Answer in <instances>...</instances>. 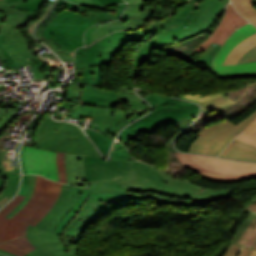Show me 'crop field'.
<instances>
[{"instance_id": "5d738f31", "label": "crop field", "mask_w": 256, "mask_h": 256, "mask_svg": "<svg viewBox=\"0 0 256 256\" xmlns=\"http://www.w3.org/2000/svg\"><path fill=\"white\" fill-rule=\"evenodd\" d=\"M56 6L67 8V9L77 11V12H80L83 14L87 13V11L82 6L76 5L74 3H71V2H68L65 0H58L56 3Z\"/></svg>"}, {"instance_id": "d1516ede", "label": "crop field", "mask_w": 256, "mask_h": 256, "mask_svg": "<svg viewBox=\"0 0 256 256\" xmlns=\"http://www.w3.org/2000/svg\"><path fill=\"white\" fill-rule=\"evenodd\" d=\"M82 191L83 188L64 184L57 202L36 227L53 232L77 201Z\"/></svg>"}, {"instance_id": "dafd665d", "label": "crop field", "mask_w": 256, "mask_h": 256, "mask_svg": "<svg viewBox=\"0 0 256 256\" xmlns=\"http://www.w3.org/2000/svg\"><path fill=\"white\" fill-rule=\"evenodd\" d=\"M120 102L117 92L84 85L80 104L112 107Z\"/></svg>"}, {"instance_id": "c5b07064", "label": "crop field", "mask_w": 256, "mask_h": 256, "mask_svg": "<svg viewBox=\"0 0 256 256\" xmlns=\"http://www.w3.org/2000/svg\"><path fill=\"white\" fill-rule=\"evenodd\" d=\"M26 256H27V255H26ZM60 256H70L69 251H67L66 253H64V254H62V255H60Z\"/></svg>"}, {"instance_id": "0765c3eb", "label": "crop field", "mask_w": 256, "mask_h": 256, "mask_svg": "<svg viewBox=\"0 0 256 256\" xmlns=\"http://www.w3.org/2000/svg\"><path fill=\"white\" fill-rule=\"evenodd\" d=\"M37 231H38V228L35 227L32 231V237L35 240V242L38 244V246L41 247L43 246V244L38 240Z\"/></svg>"}, {"instance_id": "bd1437ed", "label": "crop field", "mask_w": 256, "mask_h": 256, "mask_svg": "<svg viewBox=\"0 0 256 256\" xmlns=\"http://www.w3.org/2000/svg\"><path fill=\"white\" fill-rule=\"evenodd\" d=\"M237 11L256 26V10L252 7V0H231ZM250 16V17H248Z\"/></svg>"}, {"instance_id": "22f410ed", "label": "crop field", "mask_w": 256, "mask_h": 256, "mask_svg": "<svg viewBox=\"0 0 256 256\" xmlns=\"http://www.w3.org/2000/svg\"><path fill=\"white\" fill-rule=\"evenodd\" d=\"M118 94L121 100H126L130 110L116 109L113 116V122L110 127L109 135L116 136V133L128 123L140 117L147 110L144 100L139 98L133 89L127 86L118 87Z\"/></svg>"}, {"instance_id": "0bd39190", "label": "crop field", "mask_w": 256, "mask_h": 256, "mask_svg": "<svg viewBox=\"0 0 256 256\" xmlns=\"http://www.w3.org/2000/svg\"><path fill=\"white\" fill-rule=\"evenodd\" d=\"M236 139L256 146V120L249 125Z\"/></svg>"}, {"instance_id": "d32e631a", "label": "crop field", "mask_w": 256, "mask_h": 256, "mask_svg": "<svg viewBox=\"0 0 256 256\" xmlns=\"http://www.w3.org/2000/svg\"><path fill=\"white\" fill-rule=\"evenodd\" d=\"M85 131L88 133V135L95 142L97 147L100 149V151L103 153L104 157L106 158L107 151L113 140L110 137H107L105 135H102L98 132H95L89 129H85Z\"/></svg>"}, {"instance_id": "bc2a9ffb", "label": "crop field", "mask_w": 256, "mask_h": 256, "mask_svg": "<svg viewBox=\"0 0 256 256\" xmlns=\"http://www.w3.org/2000/svg\"><path fill=\"white\" fill-rule=\"evenodd\" d=\"M155 7L147 6L145 10L139 15L138 19L130 18L124 24L118 21L107 22L101 26L96 27L92 34L91 42H95L98 38L120 29H136L138 27L145 26L146 22L150 19Z\"/></svg>"}, {"instance_id": "7312dd0a", "label": "crop field", "mask_w": 256, "mask_h": 256, "mask_svg": "<svg viewBox=\"0 0 256 256\" xmlns=\"http://www.w3.org/2000/svg\"><path fill=\"white\" fill-rule=\"evenodd\" d=\"M253 249H256V244L253 246Z\"/></svg>"}, {"instance_id": "4177f3b9", "label": "crop field", "mask_w": 256, "mask_h": 256, "mask_svg": "<svg viewBox=\"0 0 256 256\" xmlns=\"http://www.w3.org/2000/svg\"><path fill=\"white\" fill-rule=\"evenodd\" d=\"M23 0L13 2V3H3L0 2V10L3 11L7 18L4 21L8 26L15 28L16 30H19L18 27L22 26L28 18L31 16H36L38 13L35 12H24L20 11L18 9L12 8L10 6L22 3Z\"/></svg>"}, {"instance_id": "180be81f", "label": "crop field", "mask_w": 256, "mask_h": 256, "mask_svg": "<svg viewBox=\"0 0 256 256\" xmlns=\"http://www.w3.org/2000/svg\"><path fill=\"white\" fill-rule=\"evenodd\" d=\"M0 256H5V255H1V254H0Z\"/></svg>"}, {"instance_id": "214f88e0", "label": "crop field", "mask_w": 256, "mask_h": 256, "mask_svg": "<svg viewBox=\"0 0 256 256\" xmlns=\"http://www.w3.org/2000/svg\"><path fill=\"white\" fill-rule=\"evenodd\" d=\"M113 112L114 109L79 105L71 117L77 119H79V116L94 117L91 127L107 134L112 122Z\"/></svg>"}, {"instance_id": "db79e9e6", "label": "crop field", "mask_w": 256, "mask_h": 256, "mask_svg": "<svg viewBox=\"0 0 256 256\" xmlns=\"http://www.w3.org/2000/svg\"><path fill=\"white\" fill-rule=\"evenodd\" d=\"M33 229V226H28V230H27V237L29 239V241L31 242V244L33 246H35L36 248H38V246L36 245V243L33 241L32 237H31V230Z\"/></svg>"}, {"instance_id": "3316defc", "label": "crop field", "mask_w": 256, "mask_h": 256, "mask_svg": "<svg viewBox=\"0 0 256 256\" xmlns=\"http://www.w3.org/2000/svg\"><path fill=\"white\" fill-rule=\"evenodd\" d=\"M82 15L83 14L73 12L67 9L54 7L49 16L41 23V25L36 30L37 37L45 42L47 45H49L64 61L71 62V65L73 58L70 57L67 49H65L53 39L51 30L62 31L64 25L67 22L75 17H79Z\"/></svg>"}, {"instance_id": "d9b57169", "label": "crop field", "mask_w": 256, "mask_h": 256, "mask_svg": "<svg viewBox=\"0 0 256 256\" xmlns=\"http://www.w3.org/2000/svg\"><path fill=\"white\" fill-rule=\"evenodd\" d=\"M153 106V111L151 114L147 115L146 117L136 121L126 129H124L119 137L120 139L126 144L130 140L135 141V138L137 136V133L140 131V129L153 117L158 115L157 112L164 110V109H174V108H180L184 106H190L194 105V103L184 102L178 99L174 98H168V97H161L157 95L150 94L145 97Z\"/></svg>"}, {"instance_id": "1d79db26", "label": "crop field", "mask_w": 256, "mask_h": 256, "mask_svg": "<svg viewBox=\"0 0 256 256\" xmlns=\"http://www.w3.org/2000/svg\"><path fill=\"white\" fill-rule=\"evenodd\" d=\"M101 24H103V23H101ZM98 25H99V24H97V25H95V26H93V27L87 29V31H86V33H85V46H88V45L91 44V42H90L91 34H92L93 30L95 29V27L98 26Z\"/></svg>"}, {"instance_id": "92a150f3", "label": "crop field", "mask_w": 256, "mask_h": 256, "mask_svg": "<svg viewBox=\"0 0 256 256\" xmlns=\"http://www.w3.org/2000/svg\"><path fill=\"white\" fill-rule=\"evenodd\" d=\"M199 111L198 105L159 112L139 133H153L157 128L180 121Z\"/></svg>"}, {"instance_id": "00972430", "label": "crop field", "mask_w": 256, "mask_h": 256, "mask_svg": "<svg viewBox=\"0 0 256 256\" xmlns=\"http://www.w3.org/2000/svg\"><path fill=\"white\" fill-rule=\"evenodd\" d=\"M179 97L188 99L191 101L198 102L202 108V111L208 113L210 111H218L227 105L233 103L225 93L219 94H188V95H179Z\"/></svg>"}, {"instance_id": "cbeb9de0", "label": "crop field", "mask_w": 256, "mask_h": 256, "mask_svg": "<svg viewBox=\"0 0 256 256\" xmlns=\"http://www.w3.org/2000/svg\"><path fill=\"white\" fill-rule=\"evenodd\" d=\"M34 114L29 113L26 115H23L19 117L1 136H0V176L2 178H5L6 185L3 190V193L0 195V199L3 198L4 196H8L11 198L18 186V181H19V176H20V170H19V165L12 167V162L11 158H7L8 156V150L3 151L1 150V144L3 142V139L6 137L7 134L10 133V130L17 124L19 121L23 122L24 120L30 121V119L33 117ZM20 143L18 144L17 148V154H16V160L18 156V150ZM18 164V161H17Z\"/></svg>"}, {"instance_id": "c21b1889", "label": "crop field", "mask_w": 256, "mask_h": 256, "mask_svg": "<svg viewBox=\"0 0 256 256\" xmlns=\"http://www.w3.org/2000/svg\"><path fill=\"white\" fill-rule=\"evenodd\" d=\"M45 236L59 255L66 252L58 235L46 231Z\"/></svg>"}, {"instance_id": "1f2cbd36", "label": "crop field", "mask_w": 256, "mask_h": 256, "mask_svg": "<svg viewBox=\"0 0 256 256\" xmlns=\"http://www.w3.org/2000/svg\"><path fill=\"white\" fill-rule=\"evenodd\" d=\"M29 176L30 175H23L21 188H20V192H19L20 195L25 196V194H26V191H27V188H28V185H29Z\"/></svg>"}, {"instance_id": "34b2d1b8", "label": "crop field", "mask_w": 256, "mask_h": 256, "mask_svg": "<svg viewBox=\"0 0 256 256\" xmlns=\"http://www.w3.org/2000/svg\"><path fill=\"white\" fill-rule=\"evenodd\" d=\"M62 185L37 175L31 199L12 219L5 216L22 201L23 196L17 195L0 211V243L26 235L28 224L35 226L54 205Z\"/></svg>"}, {"instance_id": "d14b1444", "label": "crop field", "mask_w": 256, "mask_h": 256, "mask_svg": "<svg viewBox=\"0 0 256 256\" xmlns=\"http://www.w3.org/2000/svg\"><path fill=\"white\" fill-rule=\"evenodd\" d=\"M6 138H8V139H13V137L11 136V134L7 135V137H6ZM2 145H3V144H2ZM2 149L6 150V149H8V148H6V147H2Z\"/></svg>"}, {"instance_id": "eef30255", "label": "crop field", "mask_w": 256, "mask_h": 256, "mask_svg": "<svg viewBox=\"0 0 256 256\" xmlns=\"http://www.w3.org/2000/svg\"><path fill=\"white\" fill-rule=\"evenodd\" d=\"M97 42L87 48H78L76 50L75 63H74L76 70L96 67L95 51H96Z\"/></svg>"}, {"instance_id": "ac0d7876", "label": "crop field", "mask_w": 256, "mask_h": 256, "mask_svg": "<svg viewBox=\"0 0 256 256\" xmlns=\"http://www.w3.org/2000/svg\"><path fill=\"white\" fill-rule=\"evenodd\" d=\"M131 166L132 172L128 176H118L113 180H100V182H115L130 190L154 191L174 197L191 198V201H178L159 196L160 205H202L232 196L230 191L201 190V187L174 178L155 167L136 160Z\"/></svg>"}, {"instance_id": "b80d0937", "label": "crop field", "mask_w": 256, "mask_h": 256, "mask_svg": "<svg viewBox=\"0 0 256 256\" xmlns=\"http://www.w3.org/2000/svg\"><path fill=\"white\" fill-rule=\"evenodd\" d=\"M47 0H25L24 3L13 6L20 10L39 12L40 6Z\"/></svg>"}, {"instance_id": "e1d0b9f6", "label": "crop field", "mask_w": 256, "mask_h": 256, "mask_svg": "<svg viewBox=\"0 0 256 256\" xmlns=\"http://www.w3.org/2000/svg\"><path fill=\"white\" fill-rule=\"evenodd\" d=\"M5 17H6V15L4 13L0 12V26L3 23V21L5 20Z\"/></svg>"}, {"instance_id": "120bbe31", "label": "crop field", "mask_w": 256, "mask_h": 256, "mask_svg": "<svg viewBox=\"0 0 256 256\" xmlns=\"http://www.w3.org/2000/svg\"><path fill=\"white\" fill-rule=\"evenodd\" d=\"M129 5L125 10L124 15L121 17V21L124 23L131 16L137 18V16L144 10L147 0H126ZM134 2V4H132Z\"/></svg>"}, {"instance_id": "25e5ab78", "label": "crop field", "mask_w": 256, "mask_h": 256, "mask_svg": "<svg viewBox=\"0 0 256 256\" xmlns=\"http://www.w3.org/2000/svg\"><path fill=\"white\" fill-rule=\"evenodd\" d=\"M0 43H6L4 35H0ZM0 49H1L2 53H3V55L5 56V58H6L7 62H8V64H9L10 68L11 69H13L15 67L18 68L16 63L11 59V57L8 55V53L5 51V49L2 47L1 44H0Z\"/></svg>"}, {"instance_id": "f4fd0767", "label": "crop field", "mask_w": 256, "mask_h": 256, "mask_svg": "<svg viewBox=\"0 0 256 256\" xmlns=\"http://www.w3.org/2000/svg\"><path fill=\"white\" fill-rule=\"evenodd\" d=\"M35 148L86 154L100 157L92 143L80 129L69 123H57L46 117L36 128Z\"/></svg>"}, {"instance_id": "5866460e", "label": "crop field", "mask_w": 256, "mask_h": 256, "mask_svg": "<svg viewBox=\"0 0 256 256\" xmlns=\"http://www.w3.org/2000/svg\"><path fill=\"white\" fill-rule=\"evenodd\" d=\"M83 81L86 85L102 87L101 67L84 70Z\"/></svg>"}, {"instance_id": "0f1d7ab4", "label": "crop field", "mask_w": 256, "mask_h": 256, "mask_svg": "<svg viewBox=\"0 0 256 256\" xmlns=\"http://www.w3.org/2000/svg\"><path fill=\"white\" fill-rule=\"evenodd\" d=\"M8 200H10L7 196L0 200V207H2Z\"/></svg>"}, {"instance_id": "c39391a2", "label": "crop field", "mask_w": 256, "mask_h": 256, "mask_svg": "<svg viewBox=\"0 0 256 256\" xmlns=\"http://www.w3.org/2000/svg\"><path fill=\"white\" fill-rule=\"evenodd\" d=\"M93 3H95L98 7H101L102 5L98 2V0H92Z\"/></svg>"}, {"instance_id": "412701ff", "label": "crop field", "mask_w": 256, "mask_h": 256, "mask_svg": "<svg viewBox=\"0 0 256 256\" xmlns=\"http://www.w3.org/2000/svg\"><path fill=\"white\" fill-rule=\"evenodd\" d=\"M141 198L158 200V195L152 193L137 195L129 191L91 193L77 215L69 223L63 235L60 236L66 250L70 249L71 256H77L76 248L83 232L96 219L111 214V209L135 205V201Z\"/></svg>"}, {"instance_id": "750c4746", "label": "crop field", "mask_w": 256, "mask_h": 256, "mask_svg": "<svg viewBox=\"0 0 256 256\" xmlns=\"http://www.w3.org/2000/svg\"><path fill=\"white\" fill-rule=\"evenodd\" d=\"M255 45L256 33L238 44L226 58L224 64H235L244 53L255 47Z\"/></svg>"}, {"instance_id": "89e229c0", "label": "crop field", "mask_w": 256, "mask_h": 256, "mask_svg": "<svg viewBox=\"0 0 256 256\" xmlns=\"http://www.w3.org/2000/svg\"><path fill=\"white\" fill-rule=\"evenodd\" d=\"M256 61V47L244 54L237 63Z\"/></svg>"}, {"instance_id": "d3111659", "label": "crop field", "mask_w": 256, "mask_h": 256, "mask_svg": "<svg viewBox=\"0 0 256 256\" xmlns=\"http://www.w3.org/2000/svg\"><path fill=\"white\" fill-rule=\"evenodd\" d=\"M248 212L256 214V198L246 207ZM256 242V217L251 222L247 230L244 232L237 245L246 246L252 248Z\"/></svg>"}, {"instance_id": "5142ce71", "label": "crop field", "mask_w": 256, "mask_h": 256, "mask_svg": "<svg viewBox=\"0 0 256 256\" xmlns=\"http://www.w3.org/2000/svg\"><path fill=\"white\" fill-rule=\"evenodd\" d=\"M23 157L27 174H40L58 181L56 152L25 147Z\"/></svg>"}, {"instance_id": "733c2abd", "label": "crop field", "mask_w": 256, "mask_h": 256, "mask_svg": "<svg viewBox=\"0 0 256 256\" xmlns=\"http://www.w3.org/2000/svg\"><path fill=\"white\" fill-rule=\"evenodd\" d=\"M0 34H5L7 44L2 45L19 67L32 65L29 59L35 56L30 50L28 40L19 31L3 24Z\"/></svg>"}, {"instance_id": "c3a83c6f", "label": "crop field", "mask_w": 256, "mask_h": 256, "mask_svg": "<svg viewBox=\"0 0 256 256\" xmlns=\"http://www.w3.org/2000/svg\"><path fill=\"white\" fill-rule=\"evenodd\" d=\"M0 1H4V2H13V1H17V0H0Z\"/></svg>"}, {"instance_id": "730fd06b", "label": "crop field", "mask_w": 256, "mask_h": 256, "mask_svg": "<svg viewBox=\"0 0 256 256\" xmlns=\"http://www.w3.org/2000/svg\"><path fill=\"white\" fill-rule=\"evenodd\" d=\"M67 182L77 185L78 177H85L82 155L66 153Z\"/></svg>"}, {"instance_id": "28ad6ade", "label": "crop field", "mask_w": 256, "mask_h": 256, "mask_svg": "<svg viewBox=\"0 0 256 256\" xmlns=\"http://www.w3.org/2000/svg\"><path fill=\"white\" fill-rule=\"evenodd\" d=\"M86 181L93 182L100 179H113L117 175H127L131 166L127 161L110 159L102 161L101 158L83 155Z\"/></svg>"}, {"instance_id": "d8731c3e", "label": "crop field", "mask_w": 256, "mask_h": 256, "mask_svg": "<svg viewBox=\"0 0 256 256\" xmlns=\"http://www.w3.org/2000/svg\"><path fill=\"white\" fill-rule=\"evenodd\" d=\"M256 32V28L247 24L238 29L232 36H230L219 51L214 61V72L218 78L238 77V76H256V62L242 63L237 65H224L223 61L230 53V51L242 40L249 37Z\"/></svg>"}, {"instance_id": "b54c1fbb", "label": "crop field", "mask_w": 256, "mask_h": 256, "mask_svg": "<svg viewBox=\"0 0 256 256\" xmlns=\"http://www.w3.org/2000/svg\"><path fill=\"white\" fill-rule=\"evenodd\" d=\"M64 157L65 153H58L57 152V165H58V174H59V181L66 182V171L64 165Z\"/></svg>"}, {"instance_id": "ae1a2a85", "label": "crop field", "mask_w": 256, "mask_h": 256, "mask_svg": "<svg viewBox=\"0 0 256 256\" xmlns=\"http://www.w3.org/2000/svg\"><path fill=\"white\" fill-rule=\"evenodd\" d=\"M0 249L6 250L18 256H24L36 248L30 244V242L27 240V237L25 236L0 244Z\"/></svg>"}, {"instance_id": "d23c7cc5", "label": "crop field", "mask_w": 256, "mask_h": 256, "mask_svg": "<svg viewBox=\"0 0 256 256\" xmlns=\"http://www.w3.org/2000/svg\"><path fill=\"white\" fill-rule=\"evenodd\" d=\"M255 217L254 214H249V216L246 218V220L243 222V224L240 226V228L237 230L235 235L233 236L231 243H235L238 241V239L241 237L245 229L248 227L252 219Z\"/></svg>"}, {"instance_id": "8a807250", "label": "crop field", "mask_w": 256, "mask_h": 256, "mask_svg": "<svg viewBox=\"0 0 256 256\" xmlns=\"http://www.w3.org/2000/svg\"><path fill=\"white\" fill-rule=\"evenodd\" d=\"M229 1L189 0L180 11L136 31H118L99 40L97 67L113 64L112 57L120 53L131 40L142 44L129 70L133 81L137 67L145 63L153 49H159L199 36L213 27ZM187 26V28H184Z\"/></svg>"}, {"instance_id": "447ae74e", "label": "crop field", "mask_w": 256, "mask_h": 256, "mask_svg": "<svg viewBox=\"0 0 256 256\" xmlns=\"http://www.w3.org/2000/svg\"><path fill=\"white\" fill-rule=\"evenodd\" d=\"M103 6L125 2L123 0H99Z\"/></svg>"}, {"instance_id": "4a817a6b", "label": "crop field", "mask_w": 256, "mask_h": 256, "mask_svg": "<svg viewBox=\"0 0 256 256\" xmlns=\"http://www.w3.org/2000/svg\"><path fill=\"white\" fill-rule=\"evenodd\" d=\"M224 13L225 15L222 16L215 31L213 30L214 32L211 34V36L205 42L195 48V50L203 52L213 42L222 45L235 30V27L240 28L244 24L248 23L234 10L231 4H228Z\"/></svg>"}, {"instance_id": "5a996713", "label": "crop field", "mask_w": 256, "mask_h": 256, "mask_svg": "<svg viewBox=\"0 0 256 256\" xmlns=\"http://www.w3.org/2000/svg\"><path fill=\"white\" fill-rule=\"evenodd\" d=\"M127 4L119 5L116 15L105 12L98 14L86 15L70 21L63 29V32L52 31L54 39L57 40L65 48L73 49L84 45L83 34L86 29L98 22L114 20L120 17Z\"/></svg>"}, {"instance_id": "0fb4a251", "label": "crop field", "mask_w": 256, "mask_h": 256, "mask_svg": "<svg viewBox=\"0 0 256 256\" xmlns=\"http://www.w3.org/2000/svg\"><path fill=\"white\" fill-rule=\"evenodd\" d=\"M240 249H241V246L231 244V246L229 247V249L227 250L224 256H236V254Z\"/></svg>"}, {"instance_id": "73cf0c24", "label": "crop field", "mask_w": 256, "mask_h": 256, "mask_svg": "<svg viewBox=\"0 0 256 256\" xmlns=\"http://www.w3.org/2000/svg\"><path fill=\"white\" fill-rule=\"evenodd\" d=\"M44 232L45 231L41 229L38 231L39 239L45 245L44 248H46L52 255L59 256L44 237Z\"/></svg>"}, {"instance_id": "fb207236", "label": "crop field", "mask_w": 256, "mask_h": 256, "mask_svg": "<svg viewBox=\"0 0 256 256\" xmlns=\"http://www.w3.org/2000/svg\"><path fill=\"white\" fill-rule=\"evenodd\" d=\"M251 256H256V251H253Z\"/></svg>"}, {"instance_id": "dbb93151", "label": "crop field", "mask_w": 256, "mask_h": 256, "mask_svg": "<svg viewBox=\"0 0 256 256\" xmlns=\"http://www.w3.org/2000/svg\"><path fill=\"white\" fill-rule=\"evenodd\" d=\"M28 255L30 256H52L47 250H45L43 247L38 248L32 252H30Z\"/></svg>"}, {"instance_id": "dd49c442", "label": "crop field", "mask_w": 256, "mask_h": 256, "mask_svg": "<svg viewBox=\"0 0 256 256\" xmlns=\"http://www.w3.org/2000/svg\"><path fill=\"white\" fill-rule=\"evenodd\" d=\"M176 155L178 161L186 168L208 177L228 180L256 177V163L235 162L177 152Z\"/></svg>"}, {"instance_id": "7b73153f", "label": "crop field", "mask_w": 256, "mask_h": 256, "mask_svg": "<svg viewBox=\"0 0 256 256\" xmlns=\"http://www.w3.org/2000/svg\"><path fill=\"white\" fill-rule=\"evenodd\" d=\"M252 251H253L252 249L243 247L238 256H250Z\"/></svg>"}, {"instance_id": "c035e120", "label": "crop field", "mask_w": 256, "mask_h": 256, "mask_svg": "<svg viewBox=\"0 0 256 256\" xmlns=\"http://www.w3.org/2000/svg\"><path fill=\"white\" fill-rule=\"evenodd\" d=\"M35 176H36V175H31V177H30V185H29V188H28V191H27V194H26V197L24 198V200H23L14 210H12V211L7 215V217L12 218V216H13L15 213H17V212L27 203V201H28L29 198L31 197L32 192H33V189H34Z\"/></svg>"}, {"instance_id": "03da06ac", "label": "crop field", "mask_w": 256, "mask_h": 256, "mask_svg": "<svg viewBox=\"0 0 256 256\" xmlns=\"http://www.w3.org/2000/svg\"><path fill=\"white\" fill-rule=\"evenodd\" d=\"M126 157H130L126 149L121 144H114L110 154V158L125 160L124 158Z\"/></svg>"}, {"instance_id": "1d83c4d3", "label": "crop field", "mask_w": 256, "mask_h": 256, "mask_svg": "<svg viewBox=\"0 0 256 256\" xmlns=\"http://www.w3.org/2000/svg\"><path fill=\"white\" fill-rule=\"evenodd\" d=\"M90 194L89 190L84 189L83 193L81 194L78 201L75 203L73 208L69 211V213L64 217V219L60 222L58 227L56 228L55 232L56 234H62L64 231V228L68 225V223L73 219V217L76 215L78 210L80 209L81 205L85 201V199Z\"/></svg>"}, {"instance_id": "028f5c9d", "label": "crop field", "mask_w": 256, "mask_h": 256, "mask_svg": "<svg viewBox=\"0 0 256 256\" xmlns=\"http://www.w3.org/2000/svg\"><path fill=\"white\" fill-rule=\"evenodd\" d=\"M90 190L92 192H107V191H125L128 189L114 183L95 182V183H92Z\"/></svg>"}, {"instance_id": "9d1cf04e", "label": "crop field", "mask_w": 256, "mask_h": 256, "mask_svg": "<svg viewBox=\"0 0 256 256\" xmlns=\"http://www.w3.org/2000/svg\"><path fill=\"white\" fill-rule=\"evenodd\" d=\"M71 2H75L78 4H83V5H87V6H91V7H97L96 5H94L91 0H69Z\"/></svg>"}, {"instance_id": "ade564c9", "label": "crop field", "mask_w": 256, "mask_h": 256, "mask_svg": "<svg viewBox=\"0 0 256 256\" xmlns=\"http://www.w3.org/2000/svg\"><path fill=\"white\" fill-rule=\"evenodd\" d=\"M3 184H4L3 179H0V191H1L2 187H3Z\"/></svg>"}, {"instance_id": "425ffa30", "label": "crop field", "mask_w": 256, "mask_h": 256, "mask_svg": "<svg viewBox=\"0 0 256 256\" xmlns=\"http://www.w3.org/2000/svg\"><path fill=\"white\" fill-rule=\"evenodd\" d=\"M15 114L5 110L0 109V131L10 122V119L14 117Z\"/></svg>"}, {"instance_id": "a9b5d70f", "label": "crop field", "mask_w": 256, "mask_h": 256, "mask_svg": "<svg viewBox=\"0 0 256 256\" xmlns=\"http://www.w3.org/2000/svg\"><path fill=\"white\" fill-rule=\"evenodd\" d=\"M220 156L237 160L256 161V147L234 139Z\"/></svg>"}, {"instance_id": "e1f06a70", "label": "crop field", "mask_w": 256, "mask_h": 256, "mask_svg": "<svg viewBox=\"0 0 256 256\" xmlns=\"http://www.w3.org/2000/svg\"><path fill=\"white\" fill-rule=\"evenodd\" d=\"M221 46L218 44H211L204 52L199 56L197 62H207L209 71L212 70V60L215 56V53Z\"/></svg>"}, {"instance_id": "78b8030e", "label": "crop field", "mask_w": 256, "mask_h": 256, "mask_svg": "<svg viewBox=\"0 0 256 256\" xmlns=\"http://www.w3.org/2000/svg\"><path fill=\"white\" fill-rule=\"evenodd\" d=\"M42 57H48V58L54 60L56 63H61L51 52Z\"/></svg>"}, {"instance_id": "ae633e8c", "label": "crop field", "mask_w": 256, "mask_h": 256, "mask_svg": "<svg viewBox=\"0 0 256 256\" xmlns=\"http://www.w3.org/2000/svg\"><path fill=\"white\" fill-rule=\"evenodd\" d=\"M0 253H2V254H6V255H9V256H16V255H13V254L8 253V252L3 251V250H0Z\"/></svg>"}, {"instance_id": "e52e79f7", "label": "crop field", "mask_w": 256, "mask_h": 256, "mask_svg": "<svg viewBox=\"0 0 256 256\" xmlns=\"http://www.w3.org/2000/svg\"><path fill=\"white\" fill-rule=\"evenodd\" d=\"M256 119V112L237 125L224 121L203 130L193 142L189 152L218 156L225 146Z\"/></svg>"}]
</instances>
